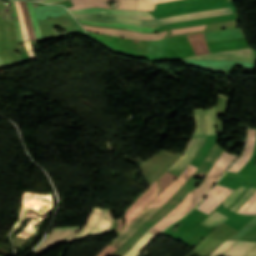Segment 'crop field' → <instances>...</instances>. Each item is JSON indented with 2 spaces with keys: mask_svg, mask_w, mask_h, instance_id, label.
Masks as SVG:
<instances>
[{
  "mask_svg": "<svg viewBox=\"0 0 256 256\" xmlns=\"http://www.w3.org/2000/svg\"><path fill=\"white\" fill-rule=\"evenodd\" d=\"M4 68H5L4 63H3V61H2V59L0 57V69H4Z\"/></svg>",
  "mask_w": 256,
  "mask_h": 256,
  "instance_id": "36",
  "label": "crop field"
},
{
  "mask_svg": "<svg viewBox=\"0 0 256 256\" xmlns=\"http://www.w3.org/2000/svg\"><path fill=\"white\" fill-rule=\"evenodd\" d=\"M81 26L88 29V30H92V31L100 32V33L114 34V35H119V36H122V37L142 39V40L161 39L167 33V31H166V32L159 33V34H142V33H136V32H131V31L119 30V29L94 28V27H88V26H83V25H81Z\"/></svg>",
  "mask_w": 256,
  "mask_h": 256,
  "instance_id": "11",
  "label": "crop field"
},
{
  "mask_svg": "<svg viewBox=\"0 0 256 256\" xmlns=\"http://www.w3.org/2000/svg\"><path fill=\"white\" fill-rule=\"evenodd\" d=\"M20 4H21V7H22L24 19H25V22H26L29 38H30L31 41H36L35 36H34V32H33V28H32V23L30 21L29 14H28V11H27L26 4H25L24 1H20Z\"/></svg>",
  "mask_w": 256,
  "mask_h": 256,
  "instance_id": "22",
  "label": "crop field"
},
{
  "mask_svg": "<svg viewBox=\"0 0 256 256\" xmlns=\"http://www.w3.org/2000/svg\"><path fill=\"white\" fill-rule=\"evenodd\" d=\"M116 223L110 210L94 208L85 228L72 240L77 241L89 237L104 235Z\"/></svg>",
  "mask_w": 256,
  "mask_h": 256,
  "instance_id": "3",
  "label": "crop field"
},
{
  "mask_svg": "<svg viewBox=\"0 0 256 256\" xmlns=\"http://www.w3.org/2000/svg\"><path fill=\"white\" fill-rule=\"evenodd\" d=\"M60 1H64V0H40L38 2L52 4V3H56V2H60Z\"/></svg>",
  "mask_w": 256,
  "mask_h": 256,
  "instance_id": "33",
  "label": "crop field"
},
{
  "mask_svg": "<svg viewBox=\"0 0 256 256\" xmlns=\"http://www.w3.org/2000/svg\"><path fill=\"white\" fill-rule=\"evenodd\" d=\"M92 6L109 8L105 2H95V3H89V4H77V5H74V7H71L68 9H81V8H87V7H92Z\"/></svg>",
  "mask_w": 256,
  "mask_h": 256,
  "instance_id": "29",
  "label": "crop field"
},
{
  "mask_svg": "<svg viewBox=\"0 0 256 256\" xmlns=\"http://www.w3.org/2000/svg\"><path fill=\"white\" fill-rule=\"evenodd\" d=\"M159 191L157 181L154 182V184L150 187V189L145 192L138 200L137 202L126 212L124 215L126 219L125 226L136 216L138 215L142 209L151 202L157 195Z\"/></svg>",
  "mask_w": 256,
  "mask_h": 256,
  "instance_id": "9",
  "label": "crop field"
},
{
  "mask_svg": "<svg viewBox=\"0 0 256 256\" xmlns=\"http://www.w3.org/2000/svg\"><path fill=\"white\" fill-rule=\"evenodd\" d=\"M239 210H243V211L256 210V192L247 200V202ZM237 212L242 214H248V215L256 214V211H251V212L237 211Z\"/></svg>",
  "mask_w": 256,
  "mask_h": 256,
  "instance_id": "21",
  "label": "crop field"
},
{
  "mask_svg": "<svg viewBox=\"0 0 256 256\" xmlns=\"http://www.w3.org/2000/svg\"><path fill=\"white\" fill-rule=\"evenodd\" d=\"M215 107L205 111V119L207 126V135L216 134V126H215Z\"/></svg>",
  "mask_w": 256,
  "mask_h": 256,
  "instance_id": "18",
  "label": "crop field"
},
{
  "mask_svg": "<svg viewBox=\"0 0 256 256\" xmlns=\"http://www.w3.org/2000/svg\"><path fill=\"white\" fill-rule=\"evenodd\" d=\"M174 0H137L136 10H153L154 5Z\"/></svg>",
  "mask_w": 256,
  "mask_h": 256,
  "instance_id": "20",
  "label": "crop field"
},
{
  "mask_svg": "<svg viewBox=\"0 0 256 256\" xmlns=\"http://www.w3.org/2000/svg\"><path fill=\"white\" fill-rule=\"evenodd\" d=\"M72 14H102V15H118L126 17H134L139 19H154L147 12L140 11H124V10H109L101 8H88L79 11H70Z\"/></svg>",
  "mask_w": 256,
  "mask_h": 256,
  "instance_id": "10",
  "label": "crop field"
},
{
  "mask_svg": "<svg viewBox=\"0 0 256 256\" xmlns=\"http://www.w3.org/2000/svg\"><path fill=\"white\" fill-rule=\"evenodd\" d=\"M15 23H16V27H17V37H18V41H23V40H22V36H21V32H20V27H19V22H18V20L15 21Z\"/></svg>",
  "mask_w": 256,
  "mask_h": 256,
  "instance_id": "32",
  "label": "crop field"
},
{
  "mask_svg": "<svg viewBox=\"0 0 256 256\" xmlns=\"http://www.w3.org/2000/svg\"><path fill=\"white\" fill-rule=\"evenodd\" d=\"M234 242V240H227L225 241L223 244H221L217 249H215L210 256L216 255V254H221L223 251H225L226 249H228L232 243Z\"/></svg>",
  "mask_w": 256,
  "mask_h": 256,
  "instance_id": "31",
  "label": "crop field"
},
{
  "mask_svg": "<svg viewBox=\"0 0 256 256\" xmlns=\"http://www.w3.org/2000/svg\"><path fill=\"white\" fill-rule=\"evenodd\" d=\"M234 156L229 155L227 153H223L222 156L218 159L213 169L210 171V173L214 172H224L226 166L230 163V161L233 159ZM209 173V174H210Z\"/></svg>",
  "mask_w": 256,
  "mask_h": 256,
  "instance_id": "19",
  "label": "crop field"
},
{
  "mask_svg": "<svg viewBox=\"0 0 256 256\" xmlns=\"http://www.w3.org/2000/svg\"><path fill=\"white\" fill-rule=\"evenodd\" d=\"M177 176L166 172L159 179L160 192L163 191Z\"/></svg>",
  "mask_w": 256,
  "mask_h": 256,
  "instance_id": "25",
  "label": "crop field"
},
{
  "mask_svg": "<svg viewBox=\"0 0 256 256\" xmlns=\"http://www.w3.org/2000/svg\"><path fill=\"white\" fill-rule=\"evenodd\" d=\"M215 177H210L205 179L196 189L191 191L185 198L184 200L176 206L169 214H167L162 220H160L156 225H154L150 230L156 232L159 230L164 224H166L168 221L171 219L175 218L179 214H181L187 207H189L195 199L204 191V189L212 182V180ZM220 177H216L214 181L206 188V190L197 198V200L189 207L187 208L181 215L176 217L175 219L171 220L168 222L166 225H164L159 231L156 233L152 231L146 232L140 240L129 250L127 251L124 256H137L140 251L148 245V243L155 238L159 232L164 230L165 227L169 226L172 224L174 221L177 219L183 217L189 210H191L199 201L200 199L205 195V193L213 186V184L219 179ZM142 252V251H141Z\"/></svg>",
  "mask_w": 256,
  "mask_h": 256,
  "instance_id": "1",
  "label": "crop field"
},
{
  "mask_svg": "<svg viewBox=\"0 0 256 256\" xmlns=\"http://www.w3.org/2000/svg\"><path fill=\"white\" fill-rule=\"evenodd\" d=\"M198 168L189 165L184 172L169 185L147 208L163 206L165 202L187 181Z\"/></svg>",
  "mask_w": 256,
  "mask_h": 256,
  "instance_id": "7",
  "label": "crop field"
},
{
  "mask_svg": "<svg viewBox=\"0 0 256 256\" xmlns=\"http://www.w3.org/2000/svg\"><path fill=\"white\" fill-rule=\"evenodd\" d=\"M78 21L85 23V24H89V25L124 28V29H131V30L142 31V32H155L157 30V28L159 27V26L141 27V26L127 25V24H123V23H104V22H93V21H83V20H78Z\"/></svg>",
  "mask_w": 256,
  "mask_h": 256,
  "instance_id": "13",
  "label": "crop field"
},
{
  "mask_svg": "<svg viewBox=\"0 0 256 256\" xmlns=\"http://www.w3.org/2000/svg\"><path fill=\"white\" fill-rule=\"evenodd\" d=\"M227 218L228 217L215 211L208 219L202 222V224H205L207 226H213L223 222Z\"/></svg>",
  "mask_w": 256,
  "mask_h": 256,
  "instance_id": "24",
  "label": "crop field"
},
{
  "mask_svg": "<svg viewBox=\"0 0 256 256\" xmlns=\"http://www.w3.org/2000/svg\"><path fill=\"white\" fill-rule=\"evenodd\" d=\"M246 256H256V246Z\"/></svg>",
  "mask_w": 256,
  "mask_h": 256,
  "instance_id": "34",
  "label": "crop field"
},
{
  "mask_svg": "<svg viewBox=\"0 0 256 256\" xmlns=\"http://www.w3.org/2000/svg\"><path fill=\"white\" fill-rule=\"evenodd\" d=\"M81 226L53 228L50 235L33 252L36 255L44 253L52 246L69 242Z\"/></svg>",
  "mask_w": 256,
  "mask_h": 256,
  "instance_id": "6",
  "label": "crop field"
},
{
  "mask_svg": "<svg viewBox=\"0 0 256 256\" xmlns=\"http://www.w3.org/2000/svg\"><path fill=\"white\" fill-rule=\"evenodd\" d=\"M160 208L161 207L144 210L142 213H140L136 217V219L131 224H129L125 228V230L121 233V235L116 240H114L110 245L118 248L134 233V231L139 226H141L148 218H150ZM111 246H107L98 256H110L116 250V248Z\"/></svg>",
  "mask_w": 256,
  "mask_h": 256,
  "instance_id": "5",
  "label": "crop field"
},
{
  "mask_svg": "<svg viewBox=\"0 0 256 256\" xmlns=\"http://www.w3.org/2000/svg\"><path fill=\"white\" fill-rule=\"evenodd\" d=\"M11 4H12V6H13V12H14L13 18H14L15 16H17V15H16V10H15V8H14L13 1H11Z\"/></svg>",
  "mask_w": 256,
  "mask_h": 256,
  "instance_id": "37",
  "label": "crop field"
},
{
  "mask_svg": "<svg viewBox=\"0 0 256 256\" xmlns=\"http://www.w3.org/2000/svg\"><path fill=\"white\" fill-rule=\"evenodd\" d=\"M233 189L216 185L207 195V198L197 207V209L209 214L218 204L226 198Z\"/></svg>",
  "mask_w": 256,
  "mask_h": 256,
  "instance_id": "8",
  "label": "crop field"
},
{
  "mask_svg": "<svg viewBox=\"0 0 256 256\" xmlns=\"http://www.w3.org/2000/svg\"><path fill=\"white\" fill-rule=\"evenodd\" d=\"M27 7H28L29 14H30V18L33 22V28H34V32H35L37 41L41 42L42 38H41V34H40V28L38 26L36 16H35V12H34V9H33V6L31 4V2H27Z\"/></svg>",
  "mask_w": 256,
  "mask_h": 256,
  "instance_id": "23",
  "label": "crop field"
},
{
  "mask_svg": "<svg viewBox=\"0 0 256 256\" xmlns=\"http://www.w3.org/2000/svg\"><path fill=\"white\" fill-rule=\"evenodd\" d=\"M251 132H256V131L249 129L248 142H247L245 153L237 161V163L230 169V171L237 173L243 167V165L246 163V161L249 159V157L251 156L254 146H255L254 145L255 140H253V139H256V133H252L251 138H253V139H250Z\"/></svg>",
  "mask_w": 256,
  "mask_h": 256,
  "instance_id": "14",
  "label": "crop field"
},
{
  "mask_svg": "<svg viewBox=\"0 0 256 256\" xmlns=\"http://www.w3.org/2000/svg\"><path fill=\"white\" fill-rule=\"evenodd\" d=\"M188 58H213V59H234L254 62L253 51L251 49H241L235 51L205 54L201 56H192Z\"/></svg>",
  "mask_w": 256,
  "mask_h": 256,
  "instance_id": "12",
  "label": "crop field"
},
{
  "mask_svg": "<svg viewBox=\"0 0 256 256\" xmlns=\"http://www.w3.org/2000/svg\"><path fill=\"white\" fill-rule=\"evenodd\" d=\"M255 244L256 242L237 241L222 256H244L253 248Z\"/></svg>",
  "mask_w": 256,
  "mask_h": 256,
  "instance_id": "15",
  "label": "crop field"
},
{
  "mask_svg": "<svg viewBox=\"0 0 256 256\" xmlns=\"http://www.w3.org/2000/svg\"><path fill=\"white\" fill-rule=\"evenodd\" d=\"M246 188L244 187H240L239 189H237L233 194H231L227 200L225 201L224 206H226L227 208L236 200V198L239 196V194L244 191Z\"/></svg>",
  "mask_w": 256,
  "mask_h": 256,
  "instance_id": "30",
  "label": "crop field"
},
{
  "mask_svg": "<svg viewBox=\"0 0 256 256\" xmlns=\"http://www.w3.org/2000/svg\"><path fill=\"white\" fill-rule=\"evenodd\" d=\"M136 6L135 0H120L118 9L134 10Z\"/></svg>",
  "mask_w": 256,
  "mask_h": 256,
  "instance_id": "28",
  "label": "crop field"
},
{
  "mask_svg": "<svg viewBox=\"0 0 256 256\" xmlns=\"http://www.w3.org/2000/svg\"><path fill=\"white\" fill-rule=\"evenodd\" d=\"M255 190V188L251 187L230 210L235 211L238 209L253 194Z\"/></svg>",
  "mask_w": 256,
  "mask_h": 256,
  "instance_id": "27",
  "label": "crop field"
},
{
  "mask_svg": "<svg viewBox=\"0 0 256 256\" xmlns=\"http://www.w3.org/2000/svg\"><path fill=\"white\" fill-rule=\"evenodd\" d=\"M187 37H188L196 55L210 52L203 33L196 34V35H190Z\"/></svg>",
  "mask_w": 256,
  "mask_h": 256,
  "instance_id": "17",
  "label": "crop field"
},
{
  "mask_svg": "<svg viewBox=\"0 0 256 256\" xmlns=\"http://www.w3.org/2000/svg\"><path fill=\"white\" fill-rule=\"evenodd\" d=\"M122 228H123V223H122V220H121V219H119V221H118V229H117V231H121V230H122Z\"/></svg>",
  "mask_w": 256,
  "mask_h": 256,
  "instance_id": "35",
  "label": "crop field"
},
{
  "mask_svg": "<svg viewBox=\"0 0 256 256\" xmlns=\"http://www.w3.org/2000/svg\"><path fill=\"white\" fill-rule=\"evenodd\" d=\"M14 3H15L18 18H19V21H20V26H21V30H22V34H23V38H24L25 48L28 52V55H29L30 59L36 58L35 55H34L33 47L31 45L30 40H29L28 35H27L26 26H25V22H24V19H23V16H22L20 4H19L18 1H14Z\"/></svg>",
  "mask_w": 256,
  "mask_h": 256,
  "instance_id": "16",
  "label": "crop field"
},
{
  "mask_svg": "<svg viewBox=\"0 0 256 256\" xmlns=\"http://www.w3.org/2000/svg\"><path fill=\"white\" fill-rule=\"evenodd\" d=\"M195 118L197 122V130L194 133L184 155L180 157L169 169L179 168L186 166L195 155L198 147L205 137V121L203 117V109L195 110ZM168 169V170H169Z\"/></svg>",
  "mask_w": 256,
  "mask_h": 256,
  "instance_id": "4",
  "label": "crop field"
},
{
  "mask_svg": "<svg viewBox=\"0 0 256 256\" xmlns=\"http://www.w3.org/2000/svg\"><path fill=\"white\" fill-rule=\"evenodd\" d=\"M229 13H233L230 7L200 11V12L174 16V17L160 18L155 20H138V19H131V18L99 16V15H73V16L79 19H92V20H98V21H115V22L138 24L143 26H155V25L166 24L171 22L199 19V18H204L208 16L229 14Z\"/></svg>",
  "mask_w": 256,
  "mask_h": 256,
  "instance_id": "2",
  "label": "crop field"
},
{
  "mask_svg": "<svg viewBox=\"0 0 256 256\" xmlns=\"http://www.w3.org/2000/svg\"><path fill=\"white\" fill-rule=\"evenodd\" d=\"M205 25L206 24L200 25V26H194V27H186V28L175 29V30H172V34H181V33H188V32H194V31L202 30V29L205 28Z\"/></svg>",
  "mask_w": 256,
  "mask_h": 256,
  "instance_id": "26",
  "label": "crop field"
}]
</instances>
